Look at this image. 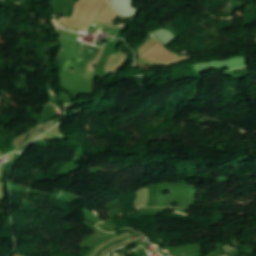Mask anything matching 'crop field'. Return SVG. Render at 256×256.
<instances>
[{"label": "crop field", "mask_w": 256, "mask_h": 256, "mask_svg": "<svg viewBox=\"0 0 256 256\" xmlns=\"http://www.w3.org/2000/svg\"><path fill=\"white\" fill-rule=\"evenodd\" d=\"M186 216V215H185Z\"/></svg>", "instance_id": "1"}]
</instances>
